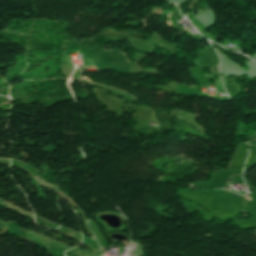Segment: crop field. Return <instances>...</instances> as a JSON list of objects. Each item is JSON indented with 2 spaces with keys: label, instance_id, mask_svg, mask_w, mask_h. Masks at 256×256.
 Wrapping results in <instances>:
<instances>
[{
  "label": "crop field",
  "instance_id": "obj_1",
  "mask_svg": "<svg viewBox=\"0 0 256 256\" xmlns=\"http://www.w3.org/2000/svg\"><path fill=\"white\" fill-rule=\"evenodd\" d=\"M246 198H248L247 196H246ZM249 200H251L250 198H248Z\"/></svg>",
  "mask_w": 256,
  "mask_h": 256
}]
</instances>
